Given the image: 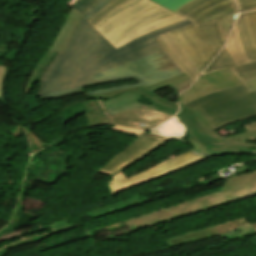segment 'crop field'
<instances>
[{
  "instance_id": "obj_1",
  "label": "crop field",
  "mask_w": 256,
  "mask_h": 256,
  "mask_svg": "<svg viewBox=\"0 0 256 256\" xmlns=\"http://www.w3.org/2000/svg\"><path fill=\"white\" fill-rule=\"evenodd\" d=\"M190 24L193 23L189 20L173 24L144 35L116 50L83 17L64 53H58L44 74L36 96L120 78L135 77L139 82L85 92L87 96L96 95L156 84L183 73L181 68L166 57V53L153 37Z\"/></svg>"
},
{
  "instance_id": "obj_2",
  "label": "crop field",
  "mask_w": 256,
  "mask_h": 256,
  "mask_svg": "<svg viewBox=\"0 0 256 256\" xmlns=\"http://www.w3.org/2000/svg\"><path fill=\"white\" fill-rule=\"evenodd\" d=\"M237 12L233 0H215L186 16L195 24L170 32L200 73L224 44L217 21Z\"/></svg>"
},
{
  "instance_id": "obj_3",
  "label": "crop field",
  "mask_w": 256,
  "mask_h": 256,
  "mask_svg": "<svg viewBox=\"0 0 256 256\" xmlns=\"http://www.w3.org/2000/svg\"><path fill=\"white\" fill-rule=\"evenodd\" d=\"M185 20L149 0H133L94 28L116 49L159 28Z\"/></svg>"
},
{
  "instance_id": "obj_4",
  "label": "crop field",
  "mask_w": 256,
  "mask_h": 256,
  "mask_svg": "<svg viewBox=\"0 0 256 256\" xmlns=\"http://www.w3.org/2000/svg\"><path fill=\"white\" fill-rule=\"evenodd\" d=\"M196 106L211 126L216 129L244 118L256 116V92L245 85L211 93L184 105Z\"/></svg>"
},
{
  "instance_id": "obj_5",
  "label": "crop field",
  "mask_w": 256,
  "mask_h": 256,
  "mask_svg": "<svg viewBox=\"0 0 256 256\" xmlns=\"http://www.w3.org/2000/svg\"><path fill=\"white\" fill-rule=\"evenodd\" d=\"M255 195L256 183L222 194L211 193L165 209L123 220V222L134 232Z\"/></svg>"
},
{
  "instance_id": "obj_6",
  "label": "crop field",
  "mask_w": 256,
  "mask_h": 256,
  "mask_svg": "<svg viewBox=\"0 0 256 256\" xmlns=\"http://www.w3.org/2000/svg\"><path fill=\"white\" fill-rule=\"evenodd\" d=\"M180 108L181 111L175 116L185 126L186 134L208 148V153H240V148L256 149L255 143L223 142L224 137L216 134L196 107L188 110L180 105Z\"/></svg>"
},
{
  "instance_id": "obj_7",
  "label": "crop field",
  "mask_w": 256,
  "mask_h": 256,
  "mask_svg": "<svg viewBox=\"0 0 256 256\" xmlns=\"http://www.w3.org/2000/svg\"><path fill=\"white\" fill-rule=\"evenodd\" d=\"M209 157L196 155L192 151L183 154L174 159L163 162L143 173H140L134 177L125 180L124 172L114 176L108 181L111 195H116L122 191L134 188L138 185L175 172L185 166L196 163Z\"/></svg>"
},
{
  "instance_id": "obj_8",
  "label": "crop field",
  "mask_w": 256,
  "mask_h": 256,
  "mask_svg": "<svg viewBox=\"0 0 256 256\" xmlns=\"http://www.w3.org/2000/svg\"><path fill=\"white\" fill-rule=\"evenodd\" d=\"M256 234V223L249 225L245 217L232 220L226 223L208 227L202 230L184 234L178 237L165 240L168 249L186 243L220 235L227 241Z\"/></svg>"
},
{
  "instance_id": "obj_9",
  "label": "crop field",
  "mask_w": 256,
  "mask_h": 256,
  "mask_svg": "<svg viewBox=\"0 0 256 256\" xmlns=\"http://www.w3.org/2000/svg\"><path fill=\"white\" fill-rule=\"evenodd\" d=\"M243 85L231 68L215 71L199 77L194 84L182 92L178 98L180 104L204 96L214 91Z\"/></svg>"
},
{
  "instance_id": "obj_10",
  "label": "crop field",
  "mask_w": 256,
  "mask_h": 256,
  "mask_svg": "<svg viewBox=\"0 0 256 256\" xmlns=\"http://www.w3.org/2000/svg\"><path fill=\"white\" fill-rule=\"evenodd\" d=\"M166 139L167 138L152 133L143 132L98 172L108 176L118 168L122 167L126 163L130 162Z\"/></svg>"
},
{
  "instance_id": "obj_11",
  "label": "crop field",
  "mask_w": 256,
  "mask_h": 256,
  "mask_svg": "<svg viewBox=\"0 0 256 256\" xmlns=\"http://www.w3.org/2000/svg\"><path fill=\"white\" fill-rule=\"evenodd\" d=\"M109 117L114 125L146 130L159 125L170 116L152 110H129Z\"/></svg>"
},
{
  "instance_id": "obj_12",
  "label": "crop field",
  "mask_w": 256,
  "mask_h": 256,
  "mask_svg": "<svg viewBox=\"0 0 256 256\" xmlns=\"http://www.w3.org/2000/svg\"><path fill=\"white\" fill-rule=\"evenodd\" d=\"M235 26L248 60L256 59V12L240 14Z\"/></svg>"
},
{
  "instance_id": "obj_13",
  "label": "crop field",
  "mask_w": 256,
  "mask_h": 256,
  "mask_svg": "<svg viewBox=\"0 0 256 256\" xmlns=\"http://www.w3.org/2000/svg\"><path fill=\"white\" fill-rule=\"evenodd\" d=\"M138 99H145V98H143L139 95L123 93L118 96L107 99L103 102L105 104V107H106L109 115H114V114H117L121 111L128 110V109H152V110H157L159 112L168 114V113L161 111L159 109H156L152 106L138 103ZM149 102H151V101H149ZM151 103H153V102H151ZM168 115H170V114H168ZM170 116H172V115H170Z\"/></svg>"
},
{
  "instance_id": "obj_14",
  "label": "crop field",
  "mask_w": 256,
  "mask_h": 256,
  "mask_svg": "<svg viewBox=\"0 0 256 256\" xmlns=\"http://www.w3.org/2000/svg\"><path fill=\"white\" fill-rule=\"evenodd\" d=\"M82 15L74 9L68 13L67 17L65 18L61 29L59 30L57 36L53 40L52 44L48 48V50L63 52L73 30L77 26V24L82 19Z\"/></svg>"
},
{
  "instance_id": "obj_15",
  "label": "crop field",
  "mask_w": 256,
  "mask_h": 256,
  "mask_svg": "<svg viewBox=\"0 0 256 256\" xmlns=\"http://www.w3.org/2000/svg\"><path fill=\"white\" fill-rule=\"evenodd\" d=\"M157 131H159V133H157ZM151 132L171 138H183L187 136L185 134V128L175 116L152 129Z\"/></svg>"
},
{
  "instance_id": "obj_16",
  "label": "crop field",
  "mask_w": 256,
  "mask_h": 256,
  "mask_svg": "<svg viewBox=\"0 0 256 256\" xmlns=\"http://www.w3.org/2000/svg\"><path fill=\"white\" fill-rule=\"evenodd\" d=\"M112 0H76L71 6L76 8L88 21L102 7Z\"/></svg>"
},
{
  "instance_id": "obj_17",
  "label": "crop field",
  "mask_w": 256,
  "mask_h": 256,
  "mask_svg": "<svg viewBox=\"0 0 256 256\" xmlns=\"http://www.w3.org/2000/svg\"><path fill=\"white\" fill-rule=\"evenodd\" d=\"M256 182V171L238 175L225 180L220 192L238 189Z\"/></svg>"
},
{
  "instance_id": "obj_18",
  "label": "crop field",
  "mask_w": 256,
  "mask_h": 256,
  "mask_svg": "<svg viewBox=\"0 0 256 256\" xmlns=\"http://www.w3.org/2000/svg\"><path fill=\"white\" fill-rule=\"evenodd\" d=\"M225 45L229 53L231 54L233 60L235 61L236 65L248 61L240 45L235 26Z\"/></svg>"
},
{
  "instance_id": "obj_19",
  "label": "crop field",
  "mask_w": 256,
  "mask_h": 256,
  "mask_svg": "<svg viewBox=\"0 0 256 256\" xmlns=\"http://www.w3.org/2000/svg\"><path fill=\"white\" fill-rule=\"evenodd\" d=\"M137 205H140V202L138 201V199L135 198V199H131V200H128L125 202L114 204V205H111L108 207L97 209V210H94L91 212H87V215L90 217V219H93V218L101 217V216L108 215V214H111L114 212H118V211L130 208V207H134Z\"/></svg>"
},
{
  "instance_id": "obj_20",
  "label": "crop field",
  "mask_w": 256,
  "mask_h": 256,
  "mask_svg": "<svg viewBox=\"0 0 256 256\" xmlns=\"http://www.w3.org/2000/svg\"><path fill=\"white\" fill-rule=\"evenodd\" d=\"M161 38L170 48V50L178 57V59L197 77L200 73L195 69V67L190 63L187 57L182 53L177 43L172 39L169 33L161 35Z\"/></svg>"
},
{
  "instance_id": "obj_21",
  "label": "crop field",
  "mask_w": 256,
  "mask_h": 256,
  "mask_svg": "<svg viewBox=\"0 0 256 256\" xmlns=\"http://www.w3.org/2000/svg\"><path fill=\"white\" fill-rule=\"evenodd\" d=\"M232 66H235V63L224 46V48L220 51V53L215 58V60L205 69L202 75L218 69L232 67Z\"/></svg>"
},
{
  "instance_id": "obj_22",
  "label": "crop field",
  "mask_w": 256,
  "mask_h": 256,
  "mask_svg": "<svg viewBox=\"0 0 256 256\" xmlns=\"http://www.w3.org/2000/svg\"><path fill=\"white\" fill-rule=\"evenodd\" d=\"M232 70L242 82L256 78V60L232 67Z\"/></svg>"
},
{
  "instance_id": "obj_23",
  "label": "crop field",
  "mask_w": 256,
  "mask_h": 256,
  "mask_svg": "<svg viewBox=\"0 0 256 256\" xmlns=\"http://www.w3.org/2000/svg\"><path fill=\"white\" fill-rule=\"evenodd\" d=\"M131 0H114L109 3L103 9H101L95 16H93L88 22L94 27L102 18L111 13L116 8L122 6L123 4Z\"/></svg>"
},
{
  "instance_id": "obj_24",
  "label": "crop field",
  "mask_w": 256,
  "mask_h": 256,
  "mask_svg": "<svg viewBox=\"0 0 256 256\" xmlns=\"http://www.w3.org/2000/svg\"><path fill=\"white\" fill-rule=\"evenodd\" d=\"M129 79H132V78H129ZM120 80H126V79H120ZM120 80H113V81H107V82H101V83H95V84H90V85H86V86H81V87L61 91V92H58V93H54V94H51V95L42 96V99H58V98H61V97H65V96L85 92V90L82 87L93 86V85L109 83V82H114V81H120Z\"/></svg>"
},
{
  "instance_id": "obj_25",
  "label": "crop field",
  "mask_w": 256,
  "mask_h": 256,
  "mask_svg": "<svg viewBox=\"0 0 256 256\" xmlns=\"http://www.w3.org/2000/svg\"><path fill=\"white\" fill-rule=\"evenodd\" d=\"M137 88L141 89V90H142L143 92H145L146 94H148V95H150V96H152V97H154V98H156V99H158V100H160V101H162V102H164V103H167V104H169V105H172V106H175V107L178 108L177 103H170V102H168V101H166V100L160 98L159 96L155 95V94H154L152 91H150L148 88H146V87L143 88L142 86L136 87V88L127 89V90L112 92V93H106V94H101V95H96V96H90V98L112 97V96L118 95V94H120V93L129 91V90H133V89H137Z\"/></svg>"
},
{
  "instance_id": "obj_26",
  "label": "crop field",
  "mask_w": 256,
  "mask_h": 256,
  "mask_svg": "<svg viewBox=\"0 0 256 256\" xmlns=\"http://www.w3.org/2000/svg\"><path fill=\"white\" fill-rule=\"evenodd\" d=\"M187 79H190V77H188L185 73H183V74H180L178 76L169 78V79H167V80H165L163 82H160V83H158L156 85L148 86V88L150 90H152L153 92H155V91L160 90V89H162L164 87H168V86L177 84V83L185 81Z\"/></svg>"
},
{
  "instance_id": "obj_27",
  "label": "crop field",
  "mask_w": 256,
  "mask_h": 256,
  "mask_svg": "<svg viewBox=\"0 0 256 256\" xmlns=\"http://www.w3.org/2000/svg\"><path fill=\"white\" fill-rule=\"evenodd\" d=\"M172 11H177L190 0H152Z\"/></svg>"
},
{
  "instance_id": "obj_28",
  "label": "crop field",
  "mask_w": 256,
  "mask_h": 256,
  "mask_svg": "<svg viewBox=\"0 0 256 256\" xmlns=\"http://www.w3.org/2000/svg\"><path fill=\"white\" fill-rule=\"evenodd\" d=\"M209 1H212V0H192L188 4H186L184 7L179 9L176 13L185 17L191 11H193L195 8L201 6L202 4L209 2Z\"/></svg>"
},
{
  "instance_id": "obj_29",
  "label": "crop field",
  "mask_w": 256,
  "mask_h": 256,
  "mask_svg": "<svg viewBox=\"0 0 256 256\" xmlns=\"http://www.w3.org/2000/svg\"><path fill=\"white\" fill-rule=\"evenodd\" d=\"M220 28H221V32H222V36L224 39V42L234 24V20H233V16H229L227 18H224L220 21H218Z\"/></svg>"
},
{
  "instance_id": "obj_30",
  "label": "crop field",
  "mask_w": 256,
  "mask_h": 256,
  "mask_svg": "<svg viewBox=\"0 0 256 256\" xmlns=\"http://www.w3.org/2000/svg\"><path fill=\"white\" fill-rule=\"evenodd\" d=\"M157 41L162 45V47L167 51V53L172 57V59L176 62L177 65H179L181 68H183L191 77L196 79V77L176 58V56L168 49V47L165 45L163 40L160 38V36L156 37Z\"/></svg>"
},
{
  "instance_id": "obj_31",
  "label": "crop field",
  "mask_w": 256,
  "mask_h": 256,
  "mask_svg": "<svg viewBox=\"0 0 256 256\" xmlns=\"http://www.w3.org/2000/svg\"><path fill=\"white\" fill-rule=\"evenodd\" d=\"M170 139L164 141L163 143L159 144L158 146L152 148L151 150L147 151L146 153H144L143 155L139 156L138 158H136L135 160L131 161L130 163H128L127 165L123 166L122 168L118 169L117 171H115L113 174H111L110 176L113 177L114 175L120 173L122 170H124L126 167H128L129 165L133 164L134 162H136L137 160H139L140 158H142L143 156L147 155L148 153H150L151 151L155 150L156 148L160 147L161 145H163L164 143L168 142Z\"/></svg>"
},
{
  "instance_id": "obj_32",
  "label": "crop field",
  "mask_w": 256,
  "mask_h": 256,
  "mask_svg": "<svg viewBox=\"0 0 256 256\" xmlns=\"http://www.w3.org/2000/svg\"><path fill=\"white\" fill-rule=\"evenodd\" d=\"M7 70H8V68L0 66V101L4 97L2 82H3L4 76L7 72Z\"/></svg>"
},
{
  "instance_id": "obj_33",
  "label": "crop field",
  "mask_w": 256,
  "mask_h": 256,
  "mask_svg": "<svg viewBox=\"0 0 256 256\" xmlns=\"http://www.w3.org/2000/svg\"><path fill=\"white\" fill-rule=\"evenodd\" d=\"M239 8H240V12L255 10L256 9V3L240 6Z\"/></svg>"
},
{
  "instance_id": "obj_34",
  "label": "crop field",
  "mask_w": 256,
  "mask_h": 256,
  "mask_svg": "<svg viewBox=\"0 0 256 256\" xmlns=\"http://www.w3.org/2000/svg\"><path fill=\"white\" fill-rule=\"evenodd\" d=\"M248 89L252 92L256 90V79L244 82Z\"/></svg>"
},
{
  "instance_id": "obj_35",
  "label": "crop field",
  "mask_w": 256,
  "mask_h": 256,
  "mask_svg": "<svg viewBox=\"0 0 256 256\" xmlns=\"http://www.w3.org/2000/svg\"><path fill=\"white\" fill-rule=\"evenodd\" d=\"M252 135H256V129L245 132V133L240 134V135H235V136H230V137H225V138L248 137V136H252Z\"/></svg>"
},
{
  "instance_id": "obj_36",
  "label": "crop field",
  "mask_w": 256,
  "mask_h": 256,
  "mask_svg": "<svg viewBox=\"0 0 256 256\" xmlns=\"http://www.w3.org/2000/svg\"><path fill=\"white\" fill-rule=\"evenodd\" d=\"M193 81H194V80L190 79V80H188V81H185V82L179 83V84H177V85H174V87H175V89L177 90V89H179V88H181V87H183V86H185V85L191 84Z\"/></svg>"
},
{
  "instance_id": "obj_37",
  "label": "crop field",
  "mask_w": 256,
  "mask_h": 256,
  "mask_svg": "<svg viewBox=\"0 0 256 256\" xmlns=\"http://www.w3.org/2000/svg\"><path fill=\"white\" fill-rule=\"evenodd\" d=\"M235 1L237 2L238 6L248 4V3H252V2H256V0H235Z\"/></svg>"
},
{
  "instance_id": "obj_38",
  "label": "crop field",
  "mask_w": 256,
  "mask_h": 256,
  "mask_svg": "<svg viewBox=\"0 0 256 256\" xmlns=\"http://www.w3.org/2000/svg\"><path fill=\"white\" fill-rule=\"evenodd\" d=\"M152 106H154V107H156V108H159V109H161V110H164V111H166V112H169V113H171V114H176V112L175 111H171V110H169V109H166V108H164V107H161V106H159V105H157V104H153Z\"/></svg>"
},
{
  "instance_id": "obj_39",
  "label": "crop field",
  "mask_w": 256,
  "mask_h": 256,
  "mask_svg": "<svg viewBox=\"0 0 256 256\" xmlns=\"http://www.w3.org/2000/svg\"><path fill=\"white\" fill-rule=\"evenodd\" d=\"M246 131L247 130H251V129H255L256 128V122L255 123H251V124H247V125H244Z\"/></svg>"
}]
</instances>
